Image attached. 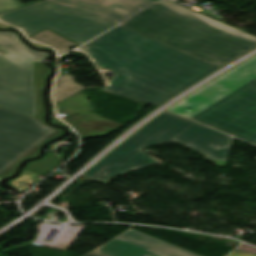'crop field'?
<instances>
[{"instance_id": "4", "label": "crop field", "mask_w": 256, "mask_h": 256, "mask_svg": "<svg viewBox=\"0 0 256 256\" xmlns=\"http://www.w3.org/2000/svg\"><path fill=\"white\" fill-rule=\"evenodd\" d=\"M154 0H44L0 14L27 35L47 27L82 45ZM153 3V2H152Z\"/></svg>"}, {"instance_id": "16", "label": "crop field", "mask_w": 256, "mask_h": 256, "mask_svg": "<svg viewBox=\"0 0 256 256\" xmlns=\"http://www.w3.org/2000/svg\"><path fill=\"white\" fill-rule=\"evenodd\" d=\"M85 256H106V255L94 250V251L90 252L89 254H87Z\"/></svg>"}, {"instance_id": "13", "label": "crop field", "mask_w": 256, "mask_h": 256, "mask_svg": "<svg viewBox=\"0 0 256 256\" xmlns=\"http://www.w3.org/2000/svg\"><path fill=\"white\" fill-rule=\"evenodd\" d=\"M31 178H33V177H30V176H27V175H23V174H22L20 178H18V179H16V180L12 181V182H11V185L14 186L15 188H17L18 190H20V189L24 188L25 186L20 185V184L18 183L19 181H23V182L28 183V184H30V185L36 183V182L33 181Z\"/></svg>"}, {"instance_id": "1", "label": "crop field", "mask_w": 256, "mask_h": 256, "mask_svg": "<svg viewBox=\"0 0 256 256\" xmlns=\"http://www.w3.org/2000/svg\"><path fill=\"white\" fill-rule=\"evenodd\" d=\"M156 41L119 25L79 49L115 74L102 90L155 106L219 68Z\"/></svg>"}, {"instance_id": "10", "label": "crop field", "mask_w": 256, "mask_h": 256, "mask_svg": "<svg viewBox=\"0 0 256 256\" xmlns=\"http://www.w3.org/2000/svg\"><path fill=\"white\" fill-rule=\"evenodd\" d=\"M83 89L85 88L75 82L74 77L70 74H59L54 89V101L55 103H58Z\"/></svg>"}, {"instance_id": "14", "label": "crop field", "mask_w": 256, "mask_h": 256, "mask_svg": "<svg viewBox=\"0 0 256 256\" xmlns=\"http://www.w3.org/2000/svg\"><path fill=\"white\" fill-rule=\"evenodd\" d=\"M206 157L208 159H211V160L215 161L219 166H225V163L227 161V160H222V159L214 158V157H211V156H208V155H206Z\"/></svg>"}, {"instance_id": "9", "label": "crop field", "mask_w": 256, "mask_h": 256, "mask_svg": "<svg viewBox=\"0 0 256 256\" xmlns=\"http://www.w3.org/2000/svg\"><path fill=\"white\" fill-rule=\"evenodd\" d=\"M56 107L58 114L66 113L71 117L67 122L77 129L83 139L106 135L124 125L92 115L81 92L56 104ZM75 114L78 116L75 117Z\"/></svg>"}, {"instance_id": "12", "label": "crop field", "mask_w": 256, "mask_h": 256, "mask_svg": "<svg viewBox=\"0 0 256 256\" xmlns=\"http://www.w3.org/2000/svg\"><path fill=\"white\" fill-rule=\"evenodd\" d=\"M38 1H41V0H38ZM34 2H37V1H34ZM34 2L23 4L22 2H20L18 0H0V13L7 11V10L17 8V7L24 6L27 4H31Z\"/></svg>"}, {"instance_id": "7", "label": "crop field", "mask_w": 256, "mask_h": 256, "mask_svg": "<svg viewBox=\"0 0 256 256\" xmlns=\"http://www.w3.org/2000/svg\"><path fill=\"white\" fill-rule=\"evenodd\" d=\"M0 50V106L36 115L32 58L49 54L27 48L13 32H0Z\"/></svg>"}, {"instance_id": "17", "label": "crop field", "mask_w": 256, "mask_h": 256, "mask_svg": "<svg viewBox=\"0 0 256 256\" xmlns=\"http://www.w3.org/2000/svg\"><path fill=\"white\" fill-rule=\"evenodd\" d=\"M29 188V187H28ZM27 189V188H26ZM23 190H25V189H23Z\"/></svg>"}, {"instance_id": "15", "label": "crop field", "mask_w": 256, "mask_h": 256, "mask_svg": "<svg viewBox=\"0 0 256 256\" xmlns=\"http://www.w3.org/2000/svg\"><path fill=\"white\" fill-rule=\"evenodd\" d=\"M230 256H256V255L234 251Z\"/></svg>"}, {"instance_id": "8", "label": "crop field", "mask_w": 256, "mask_h": 256, "mask_svg": "<svg viewBox=\"0 0 256 256\" xmlns=\"http://www.w3.org/2000/svg\"><path fill=\"white\" fill-rule=\"evenodd\" d=\"M96 250L109 256H200L132 229Z\"/></svg>"}, {"instance_id": "5", "label": "crop field", "mask_w": 256, "mask_h": 256, "mask_svg": "<svg viewBox=\"0 0 256 256\" xmlns=\"http://www.w3.org/2000/svg\"><path fill=\"white\" fill-rule=\"evenodd\" d=\"M233 140L228 135L165 111L84 175L89 179L107 182L110 177L125 171L160 163L143 150L169 141H178L201 153L227 159Z\"/></svg>"}, {"instance_id": "2", "label": "crop field", "mask_w": 256, "mask_h": 256, "mask_svg": "<svg viewBox=\"0 0 256 256\" xmlns=\"http://www.w3.org/2000/svg\"><path fill=\"white\" fill-rule=\"evenodd\" d=\"M120 24L216 66L223 67L256 47V37L168 0Z\"/></svg>"}, {"instance_id": "6", "label": "crop field", "mask_w": 256, "mask_h": 256, "mask_svg": "<svg viewBox=\"0 0 256 256\" xmlns=\"http://www.w3.org/2000/svg\"><path fill=\"white\" fill-rule=\"evenodd\" d=\"M38 115L31 117L0 107V179L15 172L25 157H34L45 141L62 130L44 123V106L40 91L49 68L42 62H33Z\"/></svg>"}, {"instance_id": "3", "label": "crop field", "mask_w": 256, "mask_h": 256, "mask_svg": "<svg viewBox=\"0 0 256 256\" xmlns=\"http://www.w3.org/2000/svg\"><path fill=\"white\" fill-rule=\"evenodd\" d=\"M168 110L256 144V55Z\"/></svg>"}, {"instance_id": "11", "label": "crop field", "mask_w": 256, "mask_h": 256, "mask_svg": "<svg viewBox=\"0 0 256 256\" xmlns=\"http://www.w3.org/2000/svg\"><path fill=\"white\" fill-rule=\"evenodd\" d=\"M30 39H33L35 41L47 43L59 50V53L66 52L70 50L71 47L77 45L76 43L48 30L45 29L31 37Z\"/></svg>"}]
</instances>
